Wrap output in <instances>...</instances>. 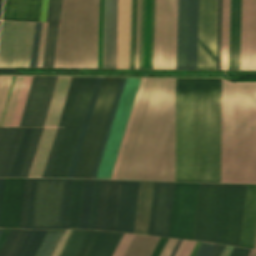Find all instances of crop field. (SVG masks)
<instances>
[{"mask_svg":"<svg viewBox=\"0 0 256 256\" xmlns=\"http://www.w3.org/2000/svg\"><path fill=\"white\" fill-rule=\"evenodd\" d=\"M177 79H146L115 179L174 181ZM222 80L178 79L175 181L220 182ZM221 182L256 183V84L223 80Z\"/></svg>","mask_w":256,"mask_h":256,"instance_id":"obj_1","label":"crop field"},{"mask_svg":"<svg viewBox=\"0 0 256 256\" xmlns=\"http://www.w3.org/2000/svg\"><path fill=\"white\" fill-rule=\"evenodd\" d=\"M171 1L172 0H163L161 69H169ZM198 2L199 0H189V16H188V0H179V15H178V0L172 1L170 69H176L177 15H178L177 69H186L187 16H188L187 69H196ZM161 27H162V0H155L153 69H160Z\"/></svg>","mask_w":256,"mask_h":256,"instance_id":"obj_2","label":"crop field"},{"mask_svg":"<svg viewBox=\"0 0 256 256\" xmlns=\"http://www.w3.org/2000/svg\"><path fill=\"white\" fill-rule=\"evenodd\" d=\"M246 185L200 184L193 240L238 246Z\"/></svg>","mask_w":256,"mask_h":256,"instance_id":"obj_3","label":"crop field"},{"mask_svg":"<svg viewBox=\"0 0 256 256\" xmlns=\"http://www.w3.org/2000/svg\"><path fill=\"white\" fill-rule=\"evenodd\" d=\"M74 0H63L59 35L54 68H69ZM99 0H85V41H84V0H75L74 22L70 68H89L90 24L91 55L90 68H97Z\"/></svg>","mask_w":256,"mask_h":256,"instance_id":"obj_4","label":"crop field"},{"mask_svg":"<svg viewBox=\"0 0 256 256\" xmlns=\"http://www.w3.org/2000/svg\"><path fill=\"white\" fill-rule=\"evenodd\" d=\"M51 179H31L25 228L44 229ZM73 180L52 179L45 229H67Z\"/></svg>","mask_w":256,"mask_h":256,"instance_id":"obj_5","label":"crop field"},{"mask_svg":"<svg viewBox=\"0 0 256 256\" xmlns=\"http://www.w3.org/2000/svg\"><path fill=\"white\" fill-rule=\"evenodd\" d=\"M95 79L71 78L58 126L64 129L48 177H66Z\"/></svg>","mask_w":256,"mask_h":256,"instance_id":"obj_6","label":"crop field"},{"mask_svg":"<svg viewBox=\"0 0 256 256\" xmlns=\"http://www.w3.org/2000/svg\"><path fill=\"white\" fill-rule=\"evenodd\" d=\"M121 78H103L73 178H90Z\"/></svg>","mask_w":256,"mask_h":256,"instance_id":"obj_7","label":"crop field"},{"mask_svg":"<svg viewBox=\"0 0 256 256\" xmlns=\"http://www.w3.org/2000/svg\"><path fill=\"white\" fill-rule=\"evenodd\" d=\"M141 79H127L96 179H110Z\"/></svg>","mask_w":256,"mask_h":256,"instance_id":"obj_8","label":"crop field"},{"mask_svg":"<svg viewBox=\"0 0 256 256\" xmlns=\"http://www.w3.org/2000/svg\"><path fill=\"white\" fill-rule=\"evenodd\" d=\"M34 23L2 22L0 67H28Z\"/></svg>","mask_w":256,"mask_h":256,"instance_id":"obj_9","label":"crop field"},{"mask_svg":"<svg viewBox=\"0 0 256 256\" xmlns=\"http://www.w3.org/2000/svg\"><path fill=\"white\" fill-rule=\"evenodd\" d=\"M199 184L176 183L169 237L192 240Z\"/></svg>","mask_w":256,"mask_h":256,"instance_id":"obj_10","label":"crop field"},{"mask_svg":"<svg viewBox=\"0 0 256 256\" xmlns=\"http://www.w3.org/2000/svg\"><path fill=\"white\" fill-rule=\"evenodd\" d=\"M57 77H33L19 127H43Z\"/></svg>","mask_w":256,"mask_h":256,"instance_id":"obj_11","label":"crop field"},{"mask_svg":"<svg viewBox=\"0 0 256 256\" xmlns=\"http://www.w3.org/2000/svg\"><path fill=\"white\" fill-rule=\"evenodd\" d=\"M217 0H200L197 69H214Z\"/></svg>","mask_w":256,"mask_h":256,"instance_id":"obj_12","label":"crop field"},{"mask_svg":"<svg viewBox=\"0 0 256 256\" xmlns=\"http://www.w3.org/2000/svg\"><path fill=\"white\" fill-rule=\"evenodd\" d=\"M174 186L155 182L149 235L168 237Z\"/></svg>","mask_w":256,"mask_h":256,"instance_id":"obj_13","label":"crop field"},{"mask_svg":"<svg viewBox=\"0 0 256 256\" xmlns=\"http://www.w3.org/2000/svg\"><path fill=\"white\" fill-rule=\"evenodd\" d=\"M240 70H256V0H242Z\"/></svg>","mask_w":256,"mask_h":256,"instance_id":"obj_14","label":"crop field"},{"mask_svg":"<svg viewBox=\"0 0 256 256\" xmlns=\"http://www.w3.org/2000/svg\"><path fill=\"white\" fill-rule=\"evenodd\" d=\"M139 182L121 181L115 231L132 233Z\"/></svg>","mask_w":256,"mask_h":256,"instance_id":"obj_15","label":"crop field"},{"mask_svg":"<svg viewBox=\"0 0 256 256\" xmlns=\"http://www.w3.org/2000/svg\"><path fill=\"white\" fill-rule=\"evenodd\" d=\"M123 234L87 231L75 256H112Z\"/></svg>","mask_w":256,"mask_h":256,"instance_id":"obj_16","label":"crop field"},{"mask_svg":"<svg viewBox=\"0 0 256 256\" xmlns=\"http://www.w3.org/2000/svg\"><path fill=\"white\" fill-rule=\"evenodd\" d=\"M23 182H24V179H15V183H14V179H5L2 207H1V215H0V227L8 228L12 191H13V183H14V191H13L9 228H17L21 196H22V189H23Z\"/></svg>","mask_w":256,"mask_h":256,"instance_id":"obj_17","label":"crop field"},{"mask_svg":"<svg viewBox=\"0 0 256 256\" xmlns=\"http://www.w3.org/2000/svg\"><path fill=\"white\" fill-rule=\"evenodd\" d=\"M110 0H104L102 68H108ZM117 0H111L109 68H115Z\"/></svg>","mask_w":256,"mask_h":256,"instance_id":"obj_18","label":"crop field"},{"mask_svg":"<svg viewBox=\"0 0 256 256\" xmlns=\"http://www.w3.org/2000/svg\"><path fill=\"white\" fill-rule=\"evenodd\" d=\"M256 237V186L247 185L239 246L254 249Z\"/></svg>","mask_w":256,"mask_h":256,"instance_id":"obj_19","label":"crop field"},{"mask_svg":"<svg viewBox=\"0 0 256 256\" xmlns=\"http://www.w3.org/2000/svg\"><path fill=\"white\" fill-rule=\"evenodd\" d=\"M42 0H5L2 20L39 22Z\"/></svg>","mask_w":256,"mask_h":256,"instance_id":"obj_20","label":"crop field"},{"mask_svg":"<svg viewBox=\"0 0 256 256\" xmlns=\"http://www.w3.org/2000/svg\"><path fill=\"white\" fill-rule=\"evenodd\" d=\"M24 128H0V177H8Z\"/></svg>","mask_w":256,"mask_h":256,"instance_id":"obj_21","label":"crop field"},{"mask_svg":"<svg viewBox=\"0 0 256 256\" xmlns=\"http://www.w3.org/2000/svg\"><path fill=\"white\" fill-rule=\"evenodd\" d=\"M62 0H49L46 22L59 23ZM59 24H48L42 67L53 68Z\"/></svg>","mask_w":256,"mask_h":256,"instance_id":"obj_22","label":"crop field"},{"mask_svg":"<svg viewBox=\"0 0 256 256\" xmlns=\"http://www.w3.org/2000/svg\"><path fill=\"white\" fill-rule=\"evenodd\" d=\"M241 0H231L228 70H239Z\"/></svg>","mask_w":256,"mask_h":256,"instance_id":"obj_23","label":"crop field"},{"mask_svg":"<svg viewBox=\"0 0 256 256\" xmlns=\"http://www.w3.org/2000/svg\"><path fill=\"white\" fill-rule=\"evenodd\" d=\"M154 182H140L134 233L148 235Z\"/></svg>","mask_w":256,"mask_h":256,"instance_id":"obj_24","label":"crop field"},{"mask_svg":"<svg viewBox=\"0 0 256 256\" xmlns=\"http://www.w3.org/2000/svg\"><path fill=\"white\" fill-rule=\"evenodd\" d=\"M71 77H58L44 127H57Z\"/></svg>","mask_w":256,"mask_h":256,"instance_id":"obj_25","label":"crop field"},{"mask_svg":"<svg viewBox=\"0 0 256 256\" xmlns=\"http://www.w3.org/2000/svg\"><path fill=\"white\" fill-rule=\"evenodd\" d=\"M57 128H44L28 177H40Z\"/></svg>","mask_w":256,"mask_h":256,"instance_id":"obj_26","label":"crop field"},{"mask_svg":"<svg viewBox=\"0 0 256 256\" xmlns=\"http://www.w3.org/2000/svg\"><path fill=\"white\" fill-rule=\"evenodd\" d=\"M120 181H108L102 230L114 231Z\"/></svg>","mask_w":256,"mask_h":256,"instance_id":"obj_27","label":"crop field"},{"mask_svg":"<svg viewBox=\"0 0 256 256\" xmlns=\"http://www.w3.org/2000/svg\"><path fill=\"white\" fill-rule=\"evenodd\" d=\"M102 78H97L66 178H72Z\"/></svg>","mask_w":256,"mask_h":256,"instance_id":"obj_28","label":"crop field"},{"mask_svg":"<svg viewBox=\"0 0 256 256\" xmlns=\"http://www.w3.org/2000/svg\"><path fill=\"white\" fill-rule=\"evenodd\" d=\"M159 238L134 235L124 256H150Z\"/></svg>","mask_w":256,"mask_h":256,"instance_id":"obj_29","label":"crop field"},{"mask_svg":"<svg viewBox=\"0 0 256 256\" xmlns=\"http://www.w3.org/2000/svg\"><path fill=\"white\" fill-rule=\"evenodd\" d=\"M230 0H222L220 70H227Z\"/></svg>","mask_w":256,"mask_h":256,"instance_id":"obj_30","label":"crop field"},{"mask_svg":"<svg viewBox=\"0 0 256 256\" xmlns=\"http://www.w3.org/2000/svg\"><path fill=\"white\" fill-rule=\"evenodd\" d=\"M84 180H74L68 229H78Z\"/></svg>","mask_w":256,"mask_h":256,"instance_id":"obj_31","label":"crop field"},{"mask_svg":"<svg viewBox=\"0 0 256 256\" xmlns=\"http://www.w3.org/2000/svg\"><path fill=\"white\" fill-rule=\"evenodd\" d=\"M28 232L29 230L11 229L0 250V256H16Z\"/></svg>","mask_w":256,"mask_h":256,"instance_id":"obj_32","label":"crop field"},{"mask_svg":"<svg viewBox=\"0 0 256 256\" xmlns=\"http://www.w3.org/2000/svg\"><path fill=\"white\" fill-rule=\"evenodd\" d=\"M34 128H25L9 177H18Z\"/></svg>","mask_w":256,"mask_h":256,"instance_id":"obj_33","label":"crop field"},{"mask_svg":"<svg viewBox=\"0 0 256 256\" xmlns=\"http://www.w3.org/2000/svg\"><path fill=\"white\" fill-rule=\"evenodd\" d=\"M64 230L47 231L35 256H51Z\"/></svg>","mask_w":256,"mask_h":256,"instance_id":"obj_34","label":"crop field"},{"mask_svg":"<svg viewBox=\"0 0 256 256\" xmlns=\"http://www.w3.org/2000/svg\"><path fill=\"white\" fill-rule=\"evenodd\" d=\"M46 231L30 230L17 256H34Z\"/></svg>","mask_w":256,"mask_h":256,"instance_id":"obj_35","label":"crop field"},{"mask_svg":"<svg viewBox=\"0 0 256 256\" xmlns=\"http://www.w3.org/2000/svg\"><path fill=\"white\" fill-rule=\"evenodd\" d=\"M150 26H151V0H145L143 69H149Z\"/></svg>","mask_w":256,"mask_h":256,"instance_id":"obj_36","label":"crop field"},{"mask_svg":"<svg viewBox=\"0 0 256 256\" xmlns=\"http://www.w3.org/2000/svg\"><path fill=\"white\" fill-rule=\"evenodd\" d=\"M125 79L126 78H122L121 82H120V86H119V89H118V92H117V95H116V99H115V102H114V105H113V108H112V111H111V115H110V118H109V121H108V124H107V128H106V131H105V134H104V137H103V141H102L100 151H99V154H98V157H97V160H96V164H95V167H94V170H93V174H92V177H91L93 179L96 178V174H97V171H98V168H99V164H100V161H101V158H102V154H103V151H104L106 140H107V137H108V134H109V130H110V127H111V124H112V120H113V117H114V114H115V110H116V107H117V104H118V101H119V98H120V95H121V91H122Z\"/></svg>","mask_w":256,"mask_h":256,"instance_id":"obj_37","label":"crop field"},{"mask_svg":"<svg viewBox=\"0 0 256 256\" xmlns=\"http://www.w3.org/2000/svg\"><path fill=\"white\" fill-rule=\"evenodd\" d=\"M43 128H35L19 177H27Z\"/></svg>","mask_w":256,"mask_h":256,"instance_id":"obj_38","label":"crop field"},{"mask_svg":"<svg viewBox=\"0 0 256 256\" xmlns=\"http://www.w3.org/2000/svg\"><path fill=\"white\" fill-rule=\"evenodd\" d=\"M93 180H85L79 229H87Z\"/></svg>","mask_w":256,"mask_h":256,"instance_id":"obj_39","label":"crop field"},{"mask_svg":"<svg viewBox=\"0 0 256 256\" xmlns=\"http://www.w3.org/2000/svg\"><path fill=\"white\" fill-rule=\"evenodd\" d=\"M24 77H16L2 126H10Z\"/></svg>","mask_w":256,"mask_h":256,"instance_id":"obj_40","label":"crop field"},{"mask_svg":"<svg viewBox=\"0 0 256 256\" xmlns=\"http://www.w3.org/2000/svg\"><path fill=\"white\" fill-rule=\"evenodd\" d=\"M32 77H25L11 126L18 127Z\"/></svg>","mask_w":256,"mask_h":256,"instance_id":"obj_41","label":"crop field"},{"mask_svg":"<svg viewBox=\"0 0 256 256\" xmlns=\"http://www.w3.org/2000/svg\"><path fill=\"white\" fill-rule=\"evenodd\" d=\"M136 11H137V0H132L130 68H134V69H135V50H136Z\"/></svg>","mask_w":256,"mask_h":256,"instance_id":"obj_42","label":"crop field"},{"mask_svg":"<svg viewBox=\"0 0 256 256\" xmlns=\"http://www.w3.org/2000/svg\"><path fill=\"white\" fill-rule=\"evenodd\" d=\"M42 24L35 23L29 67H36Z\"/></svg>","mask_w":256,"mask_h":256,"instance_id":"obj_43","label":"crop field"},{"mask_svg":"<svg viewBox=\"0 0 256 256\" xmlns=\"http://www.w3.org/2000/svg\"><path fill=\"white\" fill-rule=\"evenodd\" d=\"M144 80L145 79L141 80L140 87H139V90H138V93H137V96H136V100H135V103H134V106H133V109H132V113H131V116H130V119H129V122H128V126H127V129H126V132H125V136H124V139H123V142H122V145H121V149H120V152H119L117 162H116V165H115V168H114L113 175H112L111 179L115 178L116 171H117V168H118V165H119V162H120V158H121V155H122V152H123V149H124V145H125V142H126V139H127V136H128V132H129V129H130V126H131V122H132V119H133V116H134V113H135V109H136V106H137V103H138V100H139V96H140L142 87H143Z\"/></svg>","mask_w":256,"mask_h":256,"instance_id":"obj_44","label":"crop field"},{"mask_svg":"<svg viewBox=\"0 0 256 256\" xmlns=\"http://www.w3.org/2000/svg\"><path fill=\"white\" fill-rule=\"evenodd\" d=\"M106 185H107V181H101L98 209H97V217H96V225H95L96 230H101V226H102Z\"/></svg>","mask_w":256,"mask_h":256,"instance_id":"obj_45","label":"crop field"},{"mask_svg":"<svg viewBox=\"0 0 256 256\" xmlns=\"http://www.w3.org/2000/svg\"><path fill=\"white\" fill-rule=\"evenodd\" d=\"M100 181L94 180L88 229H94Z\"/></svg>","mask_w":256,"mask_h":256,"instance_id":"obj_46","label":"crop field"},{"mask_svg":"<svg viewBox=\"0 0 256 256\" xmlns=\"http://www.w3.org/2000/svg\"><path fill=\"white\" fill-rule=\"evenodd\" d=\"M86 231L76 230L69 246L67 247L63 256H74L77 251Z\"/></svg>","mask_w":256,"mask_h":256,"instance_id":"obj_47","label":"crop field"},{"mask_svg":"<svg viewBox=\"0 0 256 256\" xmlns=\"http://www.w3.org/2000/svg\"><path fill=\"white\" fill-rule=\"evenodd\" d=\"M30 179H25L18 228H24Z\"/></svg>","mask_w":256,"mask_h":256,"instance_id":"obj_48","label":"crop field"},{"mask_svg":"<svg viewBox=\"0 0 256 256\" xmlns=\"http://www.w3.org/2000/svg\"><path fill=\"white\" fill-rule=\"evenodd\" d=\"M63 128H58L41 177H47Z\"/></svg>","mask_w":256,"mask_h":256,"instance_id":"obj_49","label":"crop field"},{"mask_svg":"<svg viewBox=\"0 0 256 256\" xmlns=\"http://www.w3.org/2000/svg\"><path fill=\"white\" fill-rule=\"evenodd\" d=\"M220 19H221V0H218V5H217V29H216V56H215V69H217V70H219Z\"/></svg>","mask_w":256,"mask_h":256,"instance_id":"obj_50","label":"crop field"},{"mask_svg":"<svg viewBox=\"0 0 256 256\" xmlns=\"http://www.w3.org/2000/svg\"><path fill=\"white\" fill-rule=\"evenodd\" d=\"M13 77H3L0 85V118Z\"/></svg>","mask_w":256,"mask_h":256,"instance_id":"obj_51","label":"crop field"},{"mask_svg":"<svg viewBox=\"0 0 256 256\" xmlns=\"http://www.w3.org/2000/svg\"><path fill=\"white\" fill-rule=\"evenodd\" d=\"M143 25H144V0H141V25H140V55H139V69H142V54H143Z\"/></svg>","mask_w":256,"mask_h":256,"instance_id":"obj_52","label":"crop field"},{"mask_svg":"<svg viewBox=\"0 0 256 256\" xmlns=\"http://www.w3.org/2000/svg\"><path fill=\"white\" fill-rule=\"evenodd\" d=\"M102 23H103V0H100V22H99V53H98V68H101V53H102Z\"/></svg>","mask_w":256,"mask_h":256,"instance_id":"obj_53","label":"crop field"},{"mask_svg":"<svg viewBox=\"0 0 256 256\" xmlns=\"http://www.w3.org/2000/svg\"><path fill=\"white\" fill-rule=\"evenodd\" d=\"M133 235L124 234L119 246L117 247L113 256H123L127 246L129 245Z\"/></svg>","mask_w":256,"mask_h":256,"instance_id":"obj_54","label":"crop field"},{"mask_svg":"<svg viewBox=\"0 0 256 256\" xmlns=\"http://www.w3.org/2000/svg\"><path fill=\"white\" fill-rule=\"evenodd\" d=\"M47 24H43L37 67H41Z\"/></svg>","mask_w":256,"mask_h":256,"instance_id":"obj_55","label":"crop field"},{"mask_svg":"<svg viewBox=\"0 0 256 256\" xmlns=\"http://www.w3.org/2000/svg\"><path fill=\"white\" fill-rule=\"evenodd\" d=\"M70 232H71V230H65V232H64V234H63V236H62V238H61V240H60L58 246L56 247L52 256H58L59 255L62 247L64 246V244H65V242H66V240H67V238L70 234Z\"/></svg>","mask_w":256,"mask_h":256,"instance_id":"obj_56","label":"crop field"},{"mask_svg":"<svg viewBox=\"0 0 256 256\" xmlns=\"http://www.w3.org/2000/svg\"><path fill=\"white\" fill-rule=\"evenodd\" d=\"M139 25H140V0H138V12H137V50H136V69H138V54H139Z\"/></svg>","mask_w":256,"mask_h":256,"instance_id":"obj_57","label":"crop field"},{"mask_svg":"<svg viewBox=\"0 0 256 256\" xmlns=\"http://www.w3.org/2000/svg\"><path fill=\"white\" fill-rule=\"evenodd\" d=\"M195 244H196V242L186 241L179 256H190Z\"/></svg>","mask_w":256,"mask_h":256,"instance_id":"obj_58","label":"crop field"},{"mask_svg":"<svg viewBox=\"0 0 256 256\" xmlns=\"http://www.w3.org/2000/svg\"><path fill=\"white\" fill-rule=\"evenodd\" d=\"M168 239L160 238L153 254L151 256H160L161 252L163 251Z\"/></svg>","mask_w":256,"mask_h":256,"instance_id":"obj_59","label":"crop field"},{"mask_svg":"<svg viewBox=\"0 0 256 256\" xmlns=\"http://www.w3.org/2000/svg\"><path fill=\"white\" fill-rule=\"evenodd\" d=\"M213 244L202 243L196 256H208Z\"/></svg>","mask_w":256,"mask_h":256,"instance_id":"obj_60","label":"crop field"},{"mask_svg":"<svg viewBox=\"0 0 256 256\" xmlns=\"http://www.w3.org/2000/svg\"><path fill=\"white\" fill-rule=\"evenodd\" d=\"M153 26H154V0H152V26H151V55H150V69H152V54H153Z\"/></svg>","mask_w":256,"mask_h":256,"instance_id":"obj_61","label":"crop field"},{"mask_svg":"<svg viewBox=\"0 0 256 256\" xmlns=\"http://www.w3.org/2000/svg\"><path fill=\"white\" fill-rule=\"evenodd\" d=\"M175 242H176V240L169 239V241H168L164 251L162 252L161 256H169Z\"/></svg>","mask_w":256,"mask_h":256,"instance_id":"obj_62","label":"crop field"},{"mask_svg":"<svg viewBox=\"0 0 256 256\" xmlns=\"http://www.w3.org/2000/svg\"><path fill=\"white\" fill-rule=\"evenodd\" d=\"M243 251H244L243 248L234 247V249H233V251H232L230 256H241ZM249 252H250V250L245 249V251H244L242 256H248Z\"/></svg>","mask_w":256,"mask_h":256,"instance_id":"obj_63","label":"crop field"},{"mask_svg":"<svg viewBox=\"0 0 256 256\" xmlns=\"http://www.w3.org/2000/svg\"><path fill=\"white\" fill-rule=\"evenodd\" d=\"M10 229H3L1 235H0V248L2 247Z\"/></svg>","mask_w":256,"mask_h":256,"instance_id":"obj_64","label":"crop field"},{"mask_svg":"<svg viewBox=\"0 0 256 256\" xmlns=\"http://www.w3.org/2000/svg\"><path fill=\"white\" fill-rule=\"evenodd\" d=\"M233 247L230 246H225L221 256H229L231 251H232Z\"/></svg>","mask_w":256,"mask_h":256,"instance_id":"obj_65","label":"crop field"},{"mask_svg":"<svg viewBox=\"0 0 256 256\" xmlns=\"http://www.w3.org/2000/svg\"><path fill=\"white\" fill-rule=\"evenodd\" d=\"M74 232H75V230H72V232H71V234H70V236H69V238H68V240H67L65 246L63 247V249H62V251H61V253H60L59 256H62V255H63V253H64L66 247L68 246V244H69V242H70V240H71V238H72V236H73V234H74Z\"/></svg>","mask_w":256,"mask_h":256,"instance_id":"obj_66","label":"crop field"},{"mask_svg":"<svg viewBox=\"0 0 256 256\" xmlns=\"http://www.w3.org/2000/svg\"><path fill=\"white\" fill-rule=\"evenodd\" d=\"M180 242H181V240H177V242H176V244H175V246H174V248H173V250H172L170 256H174V254H175V252H176V250H177V248H178Z\"/></svg>","mask_w":256,"mask_h":256,"instance_id":"obj_67","label":"crop field"},{"mask_svg":"<svg viewBox=\"0 0 256 256\" xmlns=\"http://www.w3.org/2000/svg\"><path fill=\"white\" fill-rule=\"evenodd\" d=\"M3 183H4V179H0V207H1V199H2Z\"/></svg>","mask_w":256,"mask_h":256,"instance_id":"obj_68","label":"crop field"},{"mask_svg":"<svg viewBox=\"0 0 256 256\" xmlns=\"http://www.w3.org/2000/svg\"><path fill=\"white\" fill-rule=\"evenodd\" d=\"M200 245H201V243H200V242H197V244H196V246H195V248H194V250H193L191 256H195V255H196V253H197V251H198Z\"/></svg>","mask_w":256,"mask_h":256,"instance_id":"obj_69","label":"crop field"},{"mask_svg":"<svg viewBox=\"0 0 256 256\" xmlns=\"http://www.w3.org/2000/svg\"><path fill=\"white\" fill-rule=\"evenodd\" d=\"M0 73H15V69H0Z\"/></svg>","mask_w":256,"mask_h":256,"instance_id":"obj_70","label":"crop field"},{"mask_svg":"<svg viewBox=\"0 0 256 256\" xmlns=\"http://www.w3.org/2000/svg\"><path fill=\"white\" fill-rule=\"evenodd\" d=\"M223 248H224V246L219 245V247H218V249H217V251H216V253H215V255H214V256H220V254H221V252H222Z\"/></svg>","mask_w":256,"mask_h":256,"instance_id":"obj_71","label":"crop field"},{"mask_svg":"<svg viewBox=\"0 0 256 256\" xmlns=\"http://www.w3.org/2000/svg\"><path fill=\"white\" fill-rule=\"evenodd\" d=\"M184 243H185V241H184V240H182V242H181V244H180V246H179V248H178V250H177V252H176L175 256H178V255H179V253H180V251H181V249H182V247H183Z\"/></svg>","mask_w":256,"mask_h":256,"instance_id":"obj_72","label":"crop field"},{"mask_svg":"<svg viewBox=\"0 0 256 256\" xmlns=\"http://www.w3.org/2000/svg\"><path fill=\"white\" fill-rule=\"evenodd\" d=\"M217 247H218V245H217V244H214V246H213V248H212V250H211L209 256H213V255H214V253H215Z\"/></svg>","mask_w":256,"mask_h":256,"instance_id":"obj_73","label":"crop field"},{"mask_svg":"<svg viewBox=\"0 0 256 256\" xmlns=\"http://www.w3.org/2000/svg\"><path fill=\"white\" fill-rule=\"evenodd\" d=\"M229 74V73H227ZM233 75H253V76H256V74H233Z\"/></svg>","mask_w":256,"mask_h":256,"instance_id":"obj_74","label":"crop field"},{"mask_svg":"<svg viewBox=\"0 0 256 256\" xmlns=\"http://www.w3.org/2000/svg\"><path fill=\"white\" fill-rule=\"evenodd\" d=\"M255 251H256V250H255ZM253 252H254V250H251L249 256H252ZM254 253H255V252H254ZM253 255H254V254H253Z\"/></svg>","mask_w":256,"mask_h":256,"instance_id":"obj_75","label":"crop field"},{"mask_svg":"<svg viewBox=\"0 0 256 256\" xmlns=\"http://www.w3.org/2000/svg\"><path fill=\"white\" fill-rule=\"evenodd\" d=\"M1 5H2V0H0V15H1Z\"/></svg>","mask_w":256,"mask_h":256,"instance_id":"obj_76","label":"crop field"},{"mask_svg":"<svg viewBox=\"0 0 256 256\" xmlns=\"http://www.w3.org/2000/svg\"><path fill=\"white\" fill-rule=\"evenodd\" d=\"M253 256H256V251H255V253H254V255Z\"/></svg>","mask_w":256,"mask_h":256,"instance_id":"obj_77","label":"crop field"},{"mask_svg":"<svg viewBox=\"0 0 256 256\" xmlns=\"http://www.w3.org/2000/svg\"><path fill=\"white\" fill-rule=\"evenodd\" d=\"M1 78H2V77H0V82H1Z\"/></svg>","mask_w":256,"mask_h":256,"instance_id":"obj_78","label":"crop field"},{"mask_svg":"<svg viewBox=\"0 0 256 256\" xmlns=\"http://www.w3.org/2000/svg\"><path fill=\"white\" fill-rule=\"evenodd\" d=\"M2 229H0V233H1Z\"/></svg>","mask_w":256,"mask_h":256,"instance_id":"obj_79","label":"crop field"},{"mask_svg":"<svg viewBox=\"0 0 256 256\" xmlns=\"http://www.w3.org/2000/svg\"><path fill=\"white\" fill-rule=\"evenodd\" d=\"M255 249H256V246H255Z\"/></svg>","mask_w":256,"mask_h":256,"instance_id":"obj_80","label":"crop field"}]
</instances>
